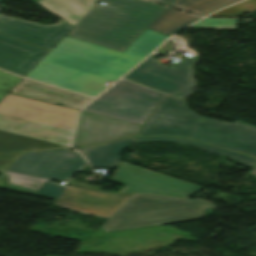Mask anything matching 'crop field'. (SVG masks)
I'll use <instances>...</instances> for the list:
<instances>
[{
    "mask_svg": "<svg viewBox=\"0 0 256 256\" xmlns=\"http://www.w3.org/2000/svg\"><path fill=\"white\" fill-rule=\"evenodd\" d=\"M205 201L133 194L102 226L105 231L171 222L204 216Z\"/></svg>",
    "mask_w": 256,
    "mask_h": 256,
    "instance_id": "6",
    "label": "crop field"
},
{
    "mask_svg": "<svg viewBox=\"0 0 256 256\" xmlns=\"http://www.w3.org/2000/svg\"><path fill=\"white\" fill-rule=\"evenodd\" d=\"M161 4H164L166 6H168L173 0H152Z\"/></svg>",
    "mask_w": 256,
    "mask_h": 256,
    "instance_id": "24",
    "label": "crop field"
},
{
    "mask_svg": "<svg viewBox=\"0 0 256 256\" xmlns=\"http://www.w3.org/2000/svg\"><path fill=\"white\" fill-rule=\"evenodd\" d=\"M77 112L8 94L0 102V152L70 147Z\"/></svg>",
    "mask_w": 256,
    "mask_h": 256,
    "instance_id": "3",
    "label": "crop field"
},
{
    "mask_svg": "<svg viewBox=\"0 0 256 256\" xmlns=\"http://www.w3.org/2000/svg\"><path fill=\"white\" fill-rule=\"evenodd\" d=\"M142 126L81 111L73 147L100 144L123 137L137 136Z\"/></svg>",
    "mask_w": 256,
    "mask_h": 256,
    "instance_id": "10",
    "label": "crop field"
},
{
    "mask_svg": "<svg viewBox=\"0 0 256 256\" xmlns=\"http://www.w3.org/2000/svg\"><path fill=\"white\" fill-rule=\"evenodd\" d=\"M84 163L69 149L22 153L3 173L10 177L4 189L53 198L54 205L109 218L131 194L103 191L72 179L68 181L71 188L48 182L66 181Z\"/></svg>",
    "mask_w": 256,
    "mask_h": 256,
    "instance_id": "2",
    "label": "crop field"
},
{
    "mask_svg": "<svg viewBox=\"0 0 256 256\" xmlns=\"http://www.w3.org/2000/svg\"><path fill=\"white\" fill-rule=\"evenodd\" d=\"M147 135L188 137L256 157V127L202 117L185 102L164 94L138 136Z\"/></svg>",
    "mask_w": 256,
    "mask_h": 256,
    "instance_id": "4",
    "label": "crop field"
},
{
    "mask_svg": "<svg viewBox=\"0 0 256 256\" xmlns=\"http://www.w3.org/2000/svg\"><path fill=\"white\" fill-rule=\"evenodd\" d=\"M1 1V0H0Z\"/></svg>",
    "mask_w": 256,
    "mask_h": 256,
    "instance_id": "27",
    "label": "crop field"
},
{
    "mask_svg": "<svg viewBox=\"0 0 256 256\" xmlns=\"http://www.w3.org/2000/svg\"><path fill=\"white\" fill-rule=\"evenodd\" d=\"M148 141H167V142H180L189 146L197 147L200 149H204L210 152H214L217 154H221L224 156L230 157L229 160L234 161L235 164H239L245 167L251 168L253 164L256 162V158L249 157L246 155L222 150L219 148H215L197 141H193L186 138H171V137H138L135 138L134 142H148Z\"/></svg>",
    "mask_w": 256,
    "mask_h": 256,
    "instance_id": "17",
    "label": "crop field"
},
{
    "mask_svg": "<svg viewBox=\"0 0 256 256\" xmlns=\"http://www.w3.org/2000/svg\"><path fill=\"white\" fill-rule=\"evenodd\" d=\"M167 37L145 29L123 52L65 36L27 78L90 95L102 92Z\"/></svg>",
    "mask_w": 256,
    "mask_h": 256,
    "instance_id": "1",
    "label": "crop field"
},
{
    "mask_svg": "<svg viewBox=\"0 0 256 256\" xmlns=\"http://www.w3.org/2000/svg\"><path fill=\"white\" fill-rule=\"evenodd\" d=\"M22 78L0 71V101L16 87Z\"/></svg>",
    "mask_w": 256,
    "mask_h": 256,
    "instance_id": "21",
    "label": "crop field"
},
{
    "mask_svg": "<svg viewBox=\"0 0 256 256\" xmlns=\"http://www.w3.org/2000/svg\"><path fill=\"white\" fill-rule=\"evenodd\" d=\"M78 110L91 98L23 79L11 92Z\"/></svg>",
    "mask_w": 256,
    "mask_h": 256,
    "instance_id": "13",
    "label": "crop field"
},
{
    "mask_svg": "<svg viewBox=\"0 0 256 256\" xmlns=\"http://www.w3.org/2000/svg\"><path fill=\"white\" fill-rule=\"evenodd\" d=\"M67 34L123 51L165 7L143 0H100Z\"/></svg>",
    "mask_w": 256,
    "mask_h": 256,
    "instance_id": "5",
    "label": "crop field"
},
{
    "mask_svg": "<svg viewBox=\"0 0 256 256\" xmlns=\"http://www.w3.org/2000/svg\"><path fill=\"white\" fill-rule=\"evenodd\" d=\"M152 54L146 61L129 72L124 78L155 88L162 92L185 98L191 94L190 90L195 87V83L190 76V65L195 60L188 58L171 69L158 63Z\"/></svg>",
    "mask_w": 256,
    "mask_h": 256,
    "instance_id": "9",
    "label": "crop field"
},
{
    "mask_svg": "<svg viewBox=\"0 0 256 256\" xmlns=\"http://www.w3.org/2000/svg\"><path fill=\"white\" fill-rule=\"evenodd\" d=\"M49 51L0 34V68L26 77Z\"/></svg>",
    "mask_w": 256,
    "mask_h": 256,
    "instance_id": "12",
    "label": "crop field"
},
{
    "mask_svg": "<svg viewBox=\"0 0 256 256\" xmlns=\"http://www.w3.org/2000/svg\"><path fill=\"white\" fill-rule=\"evenodd\" d=\"M236 1L238 0H175L169 7L203 16L212 10Z\"/></svg>",
    "mask_w": 256,
    "mask_h": 256,
    "instance_id": "18",
    "label": "crop field"
},
{
    "mask_svg": "<svg viewBox=\"0 0 256 256\" xmlns=\"http://www.w3.org/2000/svg\"><path fill=\"white\" fill-rule=\"evenodd\" d=\"M32 150H41V149H35V148H32L31 150H29V151H32Z\"/></svg>",
    "mask_w": 256,
    "mask_h": 256,
    "instance_id": "26",
    "label": "crop field"
},
{
    "mask_svg": "<svg viewBox=\"0 0 256 256\" xmlns=\"http://www.w3.org/2000/svg\"><path fill=\"white\" fill-rule=\"evenodd\" d=\"M97 1L98 0H41L35 3L74 26Z\"/></svg>",
    "mask_w": 256,
    "mask_h": 256,
    "instance_id": "15",
    "label": "crop field"
},
{
    "mask_svg": "<svg viewBox=\"0 0 256 256\" xmlns=\"http://www.w3.org/2000/svg\"><path fill=\"white\" fill-rule=\"evenodd\" d=\"M134 138L122 139L101 145L80 148L91 167L113 168L124 149Z\"/></svg>",
    "mask_w": 256,
    "mask_h": 256,
    "instance_id": "14",
    "label": "crop field"
},
{
    "mask_svg": "<svg viewBox=\"0 0 256 256\" xmlns=\"http://www.w3.org/2000/svg\"><path fill=\"white\" fill-rule=\"evenodd\" d=\"M237 19H209L205 18L189 28H221L234 29Z\"/></svg>",
    "mask_w": 256,
    "mask_h": 256,
    "instance_id": "20",
    "label": "crop field"
},
{
    "mask_svg": "<svg viewBox=\"0 0 256 256\" xmlns=\"http://www.w3.org/2000/svg\"><path fill=\"white\" fill-rule=\"evenodd\" d=\"M250 174L254 175L256 177V164L255 166L251 169V171L249 172Z\"/></svg>",
    "mask_w": 256,
    "mask_h": 256,
    "instance_id": "25",
    "label": "crop field"
},
{
    "mask_svg": "<svg viewBox=\"0 0 256 256\" xmlns=\"http://www.w3.org/2000/svg\"><path fill=\"white\" fill-rule=\"evenodd\" d=\"M199 17L166 8L148 27L163 35H170L173 32L189 25Z\"/></svg>",
    "mask_w": 256,
    "mask_h": 256,
    "instance_id": "16",
    "label": "crop field"
},
{
    "mask_svg": "<svg viewBox=\"0 0 256 256\" xmlns=\"http://www.w3.org/2000/svg\"><path fill=\"white\" fill-rule=\"evenodd\" d=\"M111 182L124 185L119 192L189 198L204 188L125 162L116 168Z\"/></svg>",
    "mask_w": 256,
    "mask_h": 256,
    "instance_id": "8",
    "label": "crop field"
},
{
    "mask_svg": "<svg viewBox=\"0 0 256 256\" xmlns=\"http://www.w3.org/2000/svg\"><path fill=\"white\" fill-rule=\"evenodd\" d=\"M172 45L170 43V40H168L159 50L156 51L158 54H164L169 52L172 49Z\"/></svg>",
    "mask_w": 256,
    "mask_h": 256,
    "instance_id": "23",
    "label": "crop field"
},
{
    "mask_svg": "<svg viewBox=\"0 0 256 256\" xmlns=\"http://www.w3.org/2000/svg\"><path fill=\"white\" fill-rule=\"evenodd\" d=\"M20 155L21 153L0 154V173L6 170Z\"/></svg>",
    "mask_w": 256,
    "mask_h": 256,
    "instance_id": "22",
    "label": "crop field"
},
{
    "mask_svg": "<svg viewBox=\"0 0 256 256\" xmlns=\"http://www.w3.org/2000/svg\"><path fill=\"white\" fill-rule=\"evenodd\" d=\"M256 9V0H246L237 5L222 9L208 17H239Z\"/></svg>",
    "mask_w": 256,
    "mask_h": 256,
    "instance_id": "19",
    "label": "crop field"
},
{
    "mask_svg": "<svg viewBox=\"0 0 256 256\" xmlns=\"http://www.w3.org/2000/svg\"><path fill=\"white\" fill-rule=\"evenodd\" d=\"M161 93L121 79L84 111L144 125Z\"/></svg>",
    "mask_w": 256,
    "mask_h": 256,
    "instance_id": "7",
    "label": "crop field"
},
{
    "mask_svg": "<svg viewBox=\"0 0 256 256\" xmlns=\"http://www.w3.org/2000/svg\"><path fill=\"white\" fill-rule=\"evenodd\" d=\"M73 26L64 21L44 27L0 16V33L51 51Z\"/></svg>",
    "mask_w": 256,
    "mask_h": 256,
    "instance_id": "11",
    "label": "crop field"
}]
</instances>
